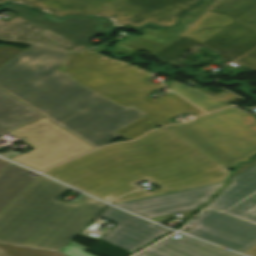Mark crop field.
Masks as SVG:
<instances>
[{
    "mask_svg": "<svg viewBox=\"0 0 256 256\" xmlns=\"http://www.w3.org/2000/svg\"><path fill=\"white\" fill-rule=\"evenodd\" d=\"M232 20L209 12L202 20L190 28L186 33L205 39L214 31L220 29Z\"/></svg>",
    "mask_w": 256,
    "mask_h": 256,
    "instance_id": "22",
    "label": "crop field"
},
{
    "mask_svg": "<svg viewBox=\"0 0 256 256\" xmlns=\"http://www.w3.org/2000/svg\"><path fill=\"white\" fill-rule=\"evenodd\" d=\"M136 256H240L235 253L183 236L166 238Z\"/></svg>",
    "mask_w": 256,
    "mask_h": 256,
    "instance_id": "16",
    "label": "crop field"
},
{
    "mask_svg": "<svg viewBox=\"0 0 256 256\" xmlns=\"http://www.w3.org/2000/svg\"><path fill=\"white\" fill-rule=\"evenodd\" d=\"M166 129L225 167L256 153V118L235 107Z\"/></svg>",
    "mask_w": 256,
    "mask_h": 256,
    "instance_id": "4",
    "label": "crop field"
},
{
    "mask_svg": "<svg viewBox=\"0 0 256 256\" xmlns=\"http://www.w3.org/2000/svg\"><path fill=\"white\" fill-rule=\"evenodd\" d=\"M190 224L187 232L241 253L256 245V226L207 209Z\"/></svg>",
    "mask_w": 256,
    "mask_h": 256,
    "instance_id": "11",
    "label": "crop field"
},
{
    "mask_svg": "<svg viewBox=\"0 0 256 256\" xmlns=\"http://www.w3.org/2000/svg\"><path fill=\"white\" fill-rule=\"evenodd\" d=\"M43 117L0 89V135Z\"/></svg>",
    "mask_w": 256,
    "mask_h": 256,
    "instance_id": "18",
    "label": "crop field"
},
{
    "mask_svg": "<svg viewBox=\"0 0 256 256\" xmlns=\"http://www.w3.org/2000/svg\"><path fill=\"white\" fill-rule=\"evenodd\" d=\"M23 49L0 45V66L18 55Z\"/></svg>",
    "mask_w": 256,
    "mask_h": 256,
    "instance_id": "27",
    "label": "crop field"
},
{
    "mask_svg": "<svg viewBox=\"0 0 256 256\" xmlns=\"http://www.w3.org/2000/svg\"><path fill=\"white\" fill-rule=\"evenodd\" d=\"M9 164V162L0 159V172Z\"/></svg>",
    "mask_w": 256,
    "mask_h": 256,
    "instance_id": "30",
    "label": "crop field"
},
{
    "mask_svg": "<svg viewBox=\"0 0 256 256\" xmlns=\"http://www.w3.org/2000/svg\"><path fill=\"white\" fill-rule=\"evenodd\" d=\"M162 193H168V191L160 188V189L154 190L152 192H149L148 190L141 188L135 192H132V193H130L126 196H123L119 199H116L110 203L114 204V203H118V202H123V201H127V200H132V199H137V198H142V197L156 195V194H162Z\"/></svg>",
    "mask_w": 256,
    "mask_h": 256,
    "instance_id": "26",
    "label": "crop field"
},
{
    "mask_svg": "<svg viewBox=\"0 0 256 256\" xmlns=\"http://www.w3.org/2000/svg\"><path fill=\"white\" fill-rule=\"evenodd\" d=\"M32 22L42 25L60 33L88 48L92 37L99 36L111 29L109 23L95 18H64L57 19L52 16L42 15L33 11L20 8L17 5L4 7Z\"/></svg>",
    "mask_w": 256,
    "mask_h": 256,
    "instance_id": "14",
    "label": "crop field"
},
{
    "mask_svg": "<svg viewBox=\"0 0 256 256\" xmlns=\"http://www.w3.org/2000/svg\"><path fill=\"white\" fill-rule=\"evenodd\" d=\"M66 256H93L87 252H84L78 248H75L69 244H67L64 248L60 250Z\"/></svg>",
    "mask_w": 256,
    "mask_h": 256,
    "instance_id": "28",
    "label": "crop field"
},
{
    "mask_svg": "<svg viewBox=\"0 0 256 256\" xmlns=\"http://www.w3.org/2000/svg\"><path fill=\"white\" fill-rule=\"evenodd\" d=\"M0 256H65L60 251L0 243Z\"/></svg>",
    "mask_w": 256,
    "mask_h": 256,
    "instance_id": "24",
    "label": "crop field"
},
{
    "mask_svg": "<svg viewBox=\"0 0 256 256\" xmlns=\"http://www.w3.org/2000/svg\"><path fill=\"white\" fill-rule=\"evenodd\" d=\"M186 99L190 100L194 104L198 105L207 112H211L226 106L228 103L241 100L234 94L225 91L214 97L208 95L207 93L194 89L188 85L182 84L180 82L172 80L171 84L168 86Z\"/></svg>",
    "mask_w": 256,
    "mask_h": 256,
    "instance_id": "21",
    "label": "crop field"
},
{
    "mask_svg": "<svg viewBox=\"0 0 256 256\" xmlns=\"http://www.w3.org/2000/svg\"><path fill=\"white\" fill-rule=\"evenodd\" d=\"M100 149L136 173L207 157L164 128L134 142Z\"/></svg>",
    "mask_w": 256,
    "mask_h": 256,
    "instance_id": "9",
    "label": "crop field"
},
{
    "mask_svg": "<svg viewBox=\"0 0 256 256\" xmlns=\"http://www.w3.org/2000/svg\"><path fill=\"white\" fill-rule=\"evenodd\" d=\"M224 214L256 225V193Z\"/></svg>",
    "mask_w": 256,
    "mask_h": 256,
    "instance_id": "25",
    "label": "crop field"
},
{
    "mask_svg": "<svg viewBox=\"0 0 256 256\" xmlns=\"http://www.w3.org/2000/svg\"><path fill=\"white\" fill-rule=\"evenodd\" d=\"M11 1L44 12L65 15H95L109 18L114 26L127 23L139 27L150 21L171 26L179 16L201 0H0Z\"/></svg>",
    "mask_w": 256,
    "mask_h": 256,
    "instance_id": "6",
    "label": "crop field"
},
{
    "mask_svg": "<svg viewBox=\"0 0 256 256\" xmlns=\"http://www.w3.org/2000/svg\"><path fill=\"white\" fill-rule=\"evenodd\" d=\"M231 181L208 206L224 210L256 190V157L252 164H243L241 168H237Z\"/></svg>",
    "mask_w": 256,
    "mask_h": 256,
    "instance_id": "17",
    "label": "crop field"
},
{
    "mask_svg": "<svg viewBox=\"0 0 256 256\" xmlns=\"http://www.w3.org/2000/svg\"><path fill=\"white\" fill-rule=\"evenodd\" d=\"M67 190L38 177L0 214V242L60 250L107 206L84 195L57 201Z\"/></svg>",
    "mask_w": 256,
    "mask_h": 256,
    "instance_id": "3",
    "label": "crop field"
},
{
    "mask_svg": "<svg viewBox=\"0 0 256 256\" xmlns=\"http://www.w3.org/2000/svg\"><path fill=\"white\" fill-rule=\"evenodd\" d=\"M9 133L33 150L25 154L11 151L1 155L38 171L95 149L45 117Z\"/></svg>",
    "mask_w": 256,
    "mask_h": 256,
    "instance_id": "8",
    "label": "crop field"
},
{
    "mask_svg": "<svg viewBox=\"0 0 256 256\" xmlns=\"http://www.w3.org/2000/svg\"><path fill=\"white\" fill-rule=\"evenodd\" d=\"M44 173L106 201L146 180L99 149Z\"/></svg>",
    "mask_w": 256,
    "mask_h": 256,
    "instance_id": "7",
    "label": "crop field"
},
{
    "mask_svg": "<svg viewBox=\"0 0 256 256\" xmlns=\"http://www.w3.org/2000/svg\"><path fill=\"white\" fill-rule=\"evenodd\" d=\"M244 254H247L249 256H256V246L246 251Z\"/></svg>",
    "mask_w": 256,
    "mask_h": 256,
    "instance_id": "29",
    "label": "crop field"
},
{
    "mask_svg": "<svg viewBox=\"0 0 256 256\" xmlns=\"http://www.w3.org/2000/svg\"><path fill=\"white\" fill-rule=\"evenodd\" d=\"M79 84L125 106H133L146 115L115 132L127 141L160 126L168 119L188 111L198 115L201 110L172 93L159 99L148 97L153 90L164 88L148 82L152 76L137 73L136 66L105 58L92 50L69 54L59 68Z\"/></svg>",
    "mask_w": 256,
    "mask_h": 256,
    "instance_id": "2",
    "label": "crop field"
},
{
    "mask_svg": "<svg viewBox=\"0 0 256 256\" xmlns=\"http://www.w3.org/2000/svg\"><path fill=\"white\" fill-rule=\"evenodd\" d=\"M227 169L210 157L139 173L170 192L225 181Z\"/></svg>",
    "mask_w": 256,
    "mask_h": 256,
    "instance_id": "10",
    "label": "crop field"
},
{
    "mask_svg": "<svg viewBox=\"0 0 256 256\" xmlns=\"http://www.w3.org/2000/svg\"><path fill=\"white\" fill-rule=\"evenodd\" d=\"M69 53L30 46L0 67V88L99 147L145 115L80 86L58 70Z\"/></svg>",
    "mask_w": 256,
    "mask_h": 256,
    "instance_id": "1",
    "label": "crop field"
},
{
    "mask_svg": "<svg viewBox=\"0 0 256 256\" xmlns=\"http://www.w3.org/2000/svg\"><path fill=\"white\" fill-rule=\"evenodd\" d=\"M224 184L188 189L168 194L156 195L142 199L118 203L116 205L138 213L147 218L180 212L187 214L197 205L208 200ZM207 202V201H206Z\"/></svg>",
    "mask_w": 256,
    "mask_h": 256,
    "instance_id": "12",
    "label": "crop field"
},
{
    "mask_svg": "<svg viewBox=\"0 0 256 256\" xmlns=\"http://www.w3.org/2000/svg\"><path fill=\"white\" fill-rule=\"evenodd\" d=\"M209 11L234 21L205 40L183 33L151 56L169 63L200 44L220 53L222 60L230 62L256 46V0H220ZM235 62L256 70V48Z\"/></svg>",
    "mask_w": 256,
    "mask_h": 256,
    "instance_id": "5",
    "label": "crop field"
},
{
    "mask_svg": "<svg viewBox=\"0 0 256 256\" xmlns=\"http://www.w3.org/2000/svg\"><path fill=\"white\" fill-rule=\"evenodd\" d=\"M124 43L117 41L113 46L114 51L122 53H135L142 50L156 52L176 39L169 32L161 30L144 29L143 36H130Z\"/></svg>",
    "mask_w": 256,
    "mask_h": 256,
    "instance_id": "20",
    "label": "crop field"
},
{
    "mask_svg": "<svg viewBox=\"0 0 256 256\" xmlns=\"http://www.w3.org/2000/svg\"><path fill=\"white\" fill-rule=\"evenodd\" d=\"M218 0H205V2L199 5L197 8L191 10L190 14L183 17L180 21L181 23L173 28L166 29L174 36L179 37L183 32L185 33L191 26L202 19L208 12V10L217 2Z\"/></svg>",
    "mask_w": 256,
    "mask_h": 256,
    "instance_id": "23",
    "label": "crop field"
},
{
    "mask_svg": "<svg viewBox=\"0 0 256 256\" xmlns=\"http://www.w3.org/2000/svg\"><path fill=\"white\" fill-rule=\"evenodd\" d=\"M0 39L47 46L66 51L88 49L60 34L41 27L19 16L8 22L0 19Z\"/></svg>",
    "mask_w": 256,
    "mask_h": 256,
    "instance_id": "15",
    "label": "crop field"
},
{
    "mask_svg": "<svg viewBox=\"0 0 256 256\" xmlns=\"http://www.w3.org/2000/svg\"><path fill=\"white\" fill-rule=\"evenodd\" d=\"M29 171L10 163L0 173V213L36 179Z\"/></svg>",
    "mask_w": 256,
    "mask_h": 256,
    "instance_id": "19",
    "label": "crop field"
},
{
    "mask_svg": "<svg viewBox=\"0 0 256 256\" xmlns=\"http://www.w3.org/2000/svg\"><path fill=\"white\" fill-rule=\"evenodd\" d=\"M100 217L118 224L103 240L129 252L169 231L111 206Z\"/></svg>",
    "mask_w": 256,
    "mask_h": 256,
    "instance_id": "13",
    "label": "crop field"
}]
</instances>
